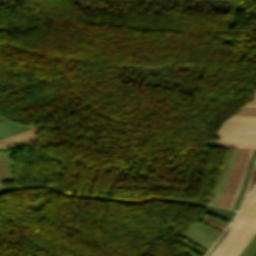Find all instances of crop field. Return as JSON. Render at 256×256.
<instances>
[{"label": "crop field", "instance_id": "obj_19", "mask_svg": "<svg viewBox=\"0 0 256 256\" xmlns=\"http://www.w3.org/2000/svg\"><path fill=\"white\" fill-rule=\"evenodd\" d=\"M255 99H256V97H255Z\"/></svg>", "mask_w": 256, "mask_h": 256}, {"label": "crop field", "instance_id": "obj_18", "mask_svg": "<svg viewBox=\"0 0 256 256\" xmlns=\"http://www.w3.org/2000/svg\"><path fill=\"white\" fill-rule=\"evenodd\" d=\"M254 95L256 96V93H254Z\"/></svg>", "mask_w": 256, "mask_h": 256}, {"label": "crop field", "instance_id": "obj_6", "mask_svg": "<svg viewBox=\"0 0 256 256\" xmlns=\"http://www.w3.org/2000/svg\"><path fill=\"white\" fill-rule=\"evenodd\" d=\"M220 136L219 141L256 143V135L216 134Z\"/></svg>", "mask_w": 256, "mask_h": 256}, {"label": "crop field", "instance_id": "obj_3", "mask_svg": "<svg viewBox=\"0 0 256 256\" xmlns=\"http://www.w3.org/2000/svg\"><path fill=\"white\" fill-rule=\"evenodd\" d=\"M218 131L256 133V117L231 116L221 124Z\"/></svg>", "mask_w": 256, "mask_h": 256}, {"label": "crop field", "instance_id": "obj_4", "mask_svg": "<svg viewBox=\"0 0 256 256\" xmlns=\"http://www.w3.org/2000/svg\"><path fill=\"white\" fill-rule=\"evenodd\" d=\"M256 231V215L247 224L243 231L238 235V237L229 246L226 252L222 256H237L240 250L244 247L247 241Z\"/></svg>", "mask_w": 256, "mask_h": 256}, {"label": "crop field", "instance_id": "obj_13", "mask_svg": "<svg viewBox=\"0 0 256 256\" xmlns=\"http://www.w3.org/2000/svg\"><path fill=\"white\" fill-rule=\"evenodd\" d=\"M255 172H256V164H255V167H254V169H253V171H252V174H251V177H250V180H249V183H248L246 192H245V194H244V197H243V199H242V201H241V204H242V202H243V200H244V198H245V196H246V194H247V192H248V189H249V187H250V185H251V183H252V180H253V178H254ZM241 204H240V205H241ZM239 207H240V206H239Z\"/></svg>", "mask_w": 256, "mask_h": 256}, {"label": "crop field", "instance_id": "obj_15", "mask_svg": "<svg viewBox=\"0 0 256 256\" xmlns=\"http://www.w3.org/2000/svg\"><path fill=\"white\" fill-rule=\"evenodd\" d=\"M4 120L2 117H0V121Z\"/></svg>", "mask_w": 256, "mask_h": 256}, {"label": "crop field", "instance_id": "obj_14", "mask_svg": "<svg viewBox=\"0 0 256 256\" xmlns=\"http://www.w3.org/2000/svg\"><path fill=\"white\" fill-rule=\"evenodd\" d=\"M244 107H255L256 108V104H247L246 106Z\"/></svg>", "mask_w": 256, "mask_h": 256}, {"label": "crop field", "instance_id": "obj_20", "mask_svg": "<svg viewBox=\"0 0 256 256\" xmlns=\"http://www.w3.org/2000/svg\"><path fill=\"white\" fill-rule=\"evenodd\" d=\"M256 92V91H255Z\"/></svg>", "mask_w": 256, "mask_h": 256}, {"label": "crop field", "instance_id": "obj_2", "mask_svg": "<svg viewBox=\"0 0 256 256\" xmlns=\"http://www.w3.org/2000/svg\"><path fill=\"white\" fill-rule=\"evenodd\" d=\"M256 213V200L209 256H221Z\"/></svg>", "mask_w": 256, "mask_h": 256}, {"label": "crop field", "instance_id": "obj_10", "mask_svg": "<svg viewBox=\"0 0 256 256\" xmlns=\"http://www.w3.org/2000/svg\"><path fill=\"white\" fill-rule=\"evenodd\" d=\"M255 151H256V150H253V152H252V155H251V158H250V161H249V164H248V167H247V170H246V173H245V176H244V179H243V182H242V185H241V188H240V191H239L238 197H237V199H236V202H235V205H234V208H233L234 210H235V208H236V205H237L238 199H239V197H240V194H241V191H242V188H243V185H244L245 179H246V177H247V174H248V171H249V168H250V165H251L252 159H253V157H254Z\"/></svg>", "mask_w": 256, "mask_h": 256}, {"label": "crop field", "instance_id": "obj_7", "mask_svg": "<svg viewBox=\"0 0 256 256\" xmlns=\"http://www.w3.org/2000/svg\"><path fill=\"white\" fill-rule=\"evenodd\" d=\"M256 198V188L253 191V193L251 194V196L248 198V200L246 201V203L244 204L243 208L241 209L240 213L238 214V216L236 217V219L234 220V222L230 225V227L232 228L236 222L241 218V216L245 213V211L248 209V207L251 205V203L255 200ZM230 228V229H231Z\"/></svg>", "mask_w": 256, "mask_h": 256}, {"label": "crop field", "instance_id": "obj_12", "mask_svg": "<svg viewBox=\"0 0 256 256\" xmlns=\"http://www.w3.org/2000/svg\"><path fill=\"white\" fill-rule=\"evenodd\" d=\"M251 152H252V150H250V152H249V155H248V158H247V162H246V165H245V168H244V171H243L242 177H241V181H240V184H239L238 190H237L236 195H235V197H234V199H233V202H232V204H231V206H230V208H231V209L233 208V205H234L235 199H236V197H237V194H238V191H239V188H240V185H241V182H242V179H243V176H244V173H245V170H246V167H247V164H248V161H249V158H250Z\"/></svg>", "mask_w": 256, "mask_h": 256}, {"label": "crop field", "instance_id": "obj_9", "mask_svg": "<svg viewBox=\"0 0 256 256\" xmlns=\"http://www.w3.org/2000/svg\"><path fill=\"white\" fill-rule=\"evenodd\" d=\"M188 229L198 233L199 235H201V236H203V237H205V238H207L211 241H214L216 239V237H214V236H212V235H210V234H208V233H206V232H204V231H202V230H200V229H198V228H196L192 225Z\"/></svg>", "mask_w": 256, "mask_h": 256}, {"label": "crop field", "instance_id": "obj_17", "mask_svg": "<svg viewBox=\"0 0 256 256\" xmlns=\"http://www.w3.org/2000/svg\"><path fill=\"white\" fill-rule=\"evenodd\" d=\"M3 187L1 184H0V188Z\"/></svg>", "mask_w": 256, "mask_h": 256}, {"label": "crop field", "instance_id": "obj_1", "mask_svg": "<svg viewBox=\"0 0 256 256\" xmlns=\"http://www.w3.org/2000/svg\"><path fill=\"white\" fill-rule=\"evenodd\" d=\"M249 150L237 149L224 189L216 206L228 208L237 190Z\"/></svg>", "mask_w": 256, "mask_h": 256}, {"label": "crop field", "instance_id": "obj_11", "mask_svg": "<svg viewBox=\"0 0 256 256\" xmlns=\"http://www.w3.org/2000/svg\"><path fill=\"white\" fill-rule=\"evenodd\" d=\"M235 115H249V116H256V109L255 108H242L239 112Z\"/></svg>", "mask_w": 256, "mask_h": 256}, {"label": "crop field", "instance_id": "obj_5", "mask_svg": "<svg viewBox=\"0 0 256 256\" xmlns=\"http://www.w3.org/2000/svg\"><path fill=\"white\" fill-rule=\"evenodd\" d=\"M35 129L0 140V149L37 140Z\"/></svg>", "mask_w": 256, "mask_h": 256}, {"label": "crop field", "instance_id": "obj_16", "mask_svg": "<svg viewBox=\"0 0 256 256\" xmlns=\"http://www.w3.org/2000/svg\"><path fill=\"white\" fill-rule=\"evenodd\" d=\"M252 103H256V101H252Z\"/></svg>", "mask_w": 256, "mask_h": 256}, {"label": "crop field", "instance_id": "obj_8", "mask_svg": "<svg viewBox=\"0 0 256 256\" xmlns=\"http://www.w3.org/2000/svg\"><path fill=\"white\" fill-rule=\"evenodd\" d=\"M219 146H227L234 148H246V149H256V144H241V143H225L217 142Z\"/></svg>", "mask_w": 256, "mask_h": 256}]
</instances>
